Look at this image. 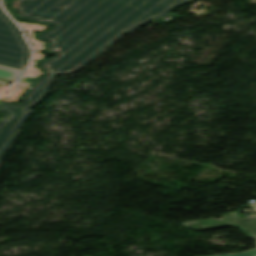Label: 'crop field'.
Listing matches in <instances>:
<instances>
[{"instance_id": "obj_1", "label": "crop field", "mask_w": 256, "mask_h": 256, "mask_svg": "<svg viewBox=\"0 0 256 256\" xmlns=\"http://www.w3.org/2000/svg\"><path fill=\"white\" fill-rule=\"evenodd\" d=\"M192 0H13L20 18L54 24L38 34L55 57L40 62L46 74L33 83L21 104L0 103V163L58 74L69 75L93 61L125 34L163 19Z\"/></svg>"}, {"instance_id": "obj_8", "label": "crop field", "mask_w": 256, "mask_h": 256, "mask_svg": "<svg viewBox=\"0 0 256 256\" xmlns=\"http://www.w3.org/2000/svg\"><path fill=\"white\" fill-rule=\"evenodd\" d=\"M255 255H256V248L249 251L242 252V253H238V254L217 255V256H255Z\"/></svg>"}, {"instance_id": "obj_2", "label": "crop field", "mask_w": 256, "mask_h": 256, "mask_svg": "<svg viewBox=\"0 0 256 256\" xmlns=\"http://www.w3.org/2000/svg\"><path fill=\"white\" fill-rule=\"evenodd\" d=\"M31 53L15 23L0 7V65L26 70ZM23 72L0 66V78L15 81Z\"/></svg>"}, {"instance_id": "obj_7", "label": "crop field", "mask_w": 256, "mask_h": 256, "mask_svg": "<svg viewBox=\"0 0 256 256\" xmlns=\"http://www.w3.org/2000/svg\"><path fill=\"white\" fill-rule=\"evenodd\" d=\"M35 64H36V61H33L32 64H31V66H30V69H29L28 74L25 76V77L30 78V79L27 81L26 85L22 83L25 77H24L18 84H21V85H24V86H28L31 79L33 80V79H35L39 74H43V73H41L38 69L34 68V65H35ZM25 79H26V78H25ZM28 87H29V86H28Z\"/></svg>"}, {"instance_id": "obj_3", "label": "crop field", "mask_w": 256, "mask_h": 256, "mask_svg": "<svg viewBox=\"0 0 256 256\" xmlns=\"http://www.w3.org/2000/svg\"><path fill=\"white\" fill-rule=\"evenodd\" d=\"M225 217L233 224L234 227H238L249 237L256 240V215L252 214L241 219L236 214L232 213L225 215Z\"/></svg>"}, {"instance_id": "obj_6", "label": "crop field", "mask_w": 256, "mask_h": 256, "mask_svg": "<svg viewBox=\"0 0 256 256\" xmlns=\"http://www.w3.org/2000/svg\"><path fill=\"white\" fill-rule=\"evenodd\" d=\"M25 88L26 87L15 86L9 91H7L4 95H2L0 99L7 100V101H16L17 100L16 97L19 96Z\"/></svg>"}, {"instance_id": "obj_4", "label": "crop field", "mask_w": 256, "mask_h": 256, "mask_svg": "<svg viewBox=\"0 0 256 256\" xmlns=\"http://www.w3.org/2000/svg\"><path fill=\"white\" fill-rule=\"evenodd\" d=\"M19 23L24 28V30L26 31L31 43L35 47V54H34L33 60H39V59L44 58L45 55L39 53L40 50L45 49L42 46L44 43L33 39V32L34 31H43L47 26H41L39 24H27V23H23V22H19Z\"/></svg>"}, {"instance_id": "obj_10", "label": "crop field", "mask_w": 256, "mask_h": 256, "mask_svg": "<svg viewBox=\"0 0 256 256\" xmlns=\"http://www.w3.org/2000/svg\"><path fill=\"white\" fill-rule=\"evenodd\" d=\"M249 208L256 212V204L249 206Z\"/></svg>"}, {"instance_id": "obj_5", "label": "crop field", "mask_w": 256, "mask_h": 256, "mask_svg": "<svg viewBox=\"0 0 256 256\" xmlns=\"http://www.w3.org/2000/svg\"><path fill=\"white\" fill-rule=\"evenodd\" d=\"M183 225L193 229H198L195 227H199V226H204V228H201V229L217 227V226H232V224L224 216L219 220H213V219L199 220V221L186 222V223H183Z\"/></svg>"}, {"instance_id": "obj_9", "label": "crop field", "mask_w": 256, "mask_h": 256, "mask_svg": "<svg viewBox=\"0 0 256 256\" xmlns=\"http://www.w3.org/2000/svg\"><path fill=\"white\" fill-rule=\"evenodd\" d=\"M7 87H9V86L6 85V84L0 83V93H1L2 91H4Z\"/></svg>"}]
</instances>
